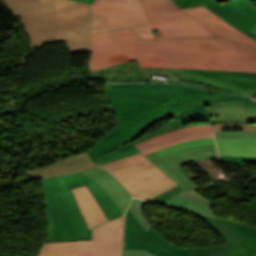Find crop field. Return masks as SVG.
Masks as SVG:
<instances>
[{
	"label": "crop field",
	"instance_id": "obj_12",
	"mask_svg": "<svg viewBox=\"0 0 256 256\" xmlns=\"http://www.w3.org/2000/svg\"><path fill=\"white\" fill-rule=\"evenodd\" d=\"M146 157L185 190L191 187L195 190L198 188L191 182L185 174L186 172L184 173L180 167L181 165L199 159H218L215 144L186 148L160 159H158L154 153Z\"/></svg>",
	"mask_w": 256,
	"mask_h": 256
},
{
	"label": "crop field",
	"instance_id": "obj_32",
	"mask_svg": "<svg viewBox=\"0 0 256 256\" xmlns=\"http://www.w3.org/2000/svg\"><path fill=\"white\" fill-rule=\"evenodd\" d=\"M215 139L256 138V132H214Z\"/></svg>",
	"mask_w": 256,
	"mask_h": 256
},
{
	"label": "crop field",
	"instance_id": "obj_23",
	"mask_svg": "<svg viewBox=\"0 0 256 256\" xmlns=\"http://www.w3.org/2000/svg\"><path fill=\"white\" fill-rule=\"evenodd\" d=\"M84 183L88 186L91 193L97 200L98 204L102 208L103 212L107 216L108 220L122 214L117 205L111 200V198L91 179L86 177L81 172L78 173Z\"/></svg>",
	"mask_w": 256,
	"mask_h": 256
},
{
	"label": "crop field",
	"instance_id": "obj_3",
	"mask_svg": "<svg viewBox=\"0 0 256 256\" xmlns=\"http://www.w3.org/2000/svg\"><path fill=\"white\" fill-rule=\"evenodd\" d=\"M108 101L118 126L106 134L101 144L117 135L129 143L156 122L170 115L158 106L171 98L165 84H105Z\"/></svg>",
	"mask_w": 256,
	"mask_h": 256
},
{
	"label": "crop field",
	"instance_id": "obj_8",
	"mask_svg": "<svg viewBox=\"0 0 256 256\" xmlns=\"http://www.w3.org/2000/svg\"><path fill=\"white\" fill-rule=\"evenodd\" d=\"M226 244L208 247L211 256H256V227L227 219L200 216Z\"/></svg>",
	"mask_w": 256,
	"mask_h": 256
},
{
	"label": "crop field",
	"instance_id": "obj_10",
	"mask_svg": "<svg viewBox=\"0 0 256 256\" xmlns=\"http://www.w3.org/2000/svg\"><path fill=\"white\" fill-rule=\"evenodd\" d=\"M130 212H126L124 249H145L160 256H210L207 247L181 250L168 243L153 228L145 231Z\"/></svg>",
	"mask_w": 256,
	"mask_h": 256
},
{
	"label": "crop field",
	"instance_id": "obj_26",
	"mask_svg": "<svg viewBox=\"0 0 256 256\" xmlns=\"http://www.w3.org/2000/svg\"><path fill=\"white\" fill-rule=\"evenodd\" d=\"M228 5L248 17L256 23V6L246 0H230L226 2ZM253 6V7H251ZM244 16V17H245Z\"/></svg>",
	"mask_w": 256,
	"mask_h": 256
},
{
	"label": "crop field",
	"instance_id": "obj_19",
	"mask_svg": "<svg viewBox=\"0 0 256 256\" xmlns=\"http://www.w3.org/2000/svg\"><path fill=\"white\" fill-rule=\"evenodd\" d=\"M82 173L95 181L113 199L121 211L125 212L131 195L113 176L99 167L82 171Z\"/></svg>",
	"mask_w": 256,
	"mask_h": 256
},
{
	"label": "crop field",
	"instance_id": "obj_35",
	"mask_svg": "<svg viewBox=\"0 0 256 256\" xmlns=\"http://www.w3.org/2000/svg\"><path fill=\"white\" fill-rule=\"evenodd\" d=\"M219 158H220V161L241 162V163H256V158L227 157V156H219Z\"/></svg>",
	"mask_w": 256,
	"mask_h": 256
},
{
	"label": "crop field",
	"instance_id": "obj_15",
	"mask_svg": "<svg viewBox=\"0 0 256 256\" xmlns=\"http://www.w3.org/2000/svg\"><path fill=\"white\" fill-rule=\"evenodd\" d=\"M166 86L169 89L173 98L160 104V106L162 109H164L173 116L179 114L181 111L199 105L200 103L207 100L229 95L226 93L206 91L187 86L170 84H166Z\"/></svg>",
	"mask_w": 256,
	"mask_h": 256
},
{
	"label": "crop field",
	"instance_id": "obj_37",
	"mask_svg": "<svg viewBox=\"0 0 256 256\" xmlns=\"http://www.w3.org/2000/svg\"><path fill=\"white\" fill-rule=\"evenodd\" d=\"M124 256H157L145 250H124Z\"/></svg>",
	"mask_w": 256,
	"mask_h": 256
},
{
	"label": "crop field",
	"instance_id": "obj_24",
	"mask_svg": "<svg viewBox=\"0 0 256 256\" xmlns=\"http://www.w3.org/2000/svg\"><path fill=\"white\" fill-rule=\"evenodd\" d=\"M177 195L182 196L190 201L179 209L190 213H200L216 217L210 209L213 203L201 196L193 188L187 191L184 190Z\"/></svg>",
	"mask_w": 256,
	"mask_h": 256
},
{
	"label": "crop field",
	"instance_id": "obj_6",
	"mask_svg": "<svg viewBox=\"0 0 256 256\" xmlns=\"http://www.w3.org/2000/svg\"><path fill=\"white\" fill-rule=\"evenodd\" d=\"M90 23L92 34L133 28L145 39L154 38L138 0H94Z\"/></svg>",
	"mask_w": 256,
	"mask_h": 256
},
{
	"label": "crop field",
	"instance_id": "obj_28",
	"mask_svg": "<svg viewBox=\"0 0 256 256\" xmlns=\"http://www.w3.org/2000/svg\"><path fill=\"white\" fill-rule=\"evenodd\" d=\"M125 143L126 142L124 140L117 136L93 149L87 150V152L90 154L91 157H95L99 154L106 153L113 149H116L118 146H121Z\"/></svg>",
	"mask_w": 256,
	"mask_h": 256
},
{
	"label": "crop field",
	"instance_id": "obj_27",
	"mask_svg": "<svg viewBox=\"0 0 256 256\" xmlns=\"http://www.w3.org/2000/svg\"><path fill=\"white\" fill-rule=\"evenodd\" d=\"M215 143L214 138H206V139H200V140H195V141H189V142H185V143H180V144H176V145H172L169 147H166L160 151L154 152L157 157H161L164 156L166 154H169L171 152L186 148V147H190V146H196V145H202V144H213Z\"/></svg>",
	"mask_w": 256,
	"mask_h": 256
},
{
	"label": "crop field",
	"instance_id": "obj_11",
	"mask_svg": "<svg viewBox=\"0 0 256 256\" xmlns=\"http://www.w3.org/2000/svg\"><path fill=\"white\" fill-rule=\"evenodd\" d=\"M205 137H214L212 132V125H200L182 128L174 132L165 133L155 138L134 144L141 153L100 166L110 172H113L121 168L147 160L144 157L145 155L157 151L163 147Z\"/></svg>",
	"mask_w": 256,
	"mask_h": 256
},
{
	"label": "crop field",
	"instance_id": "obj_4",
	"mask_svg": "<svg viewBox=\"0 0 256 256\" xmlns=\"http://www.w3.org/2000/svg\"><path fill=\"white\" fill-rule=\"evenodd\" d=\"M152 29L161 37H219L255 44L256 41L234 29L207 8L200 6L180 10L173 0H139ZM143 12V13H144Z\"/></svg>",
	"mask_w": 256,
	"mask_h": 256
},
{
	"label": "crop field",
	"instance_id": "obj_14",
	"mask_svg": "<svg viewBox=\"0 0 256 256\" xmlns=\"http://www.w3.org/2000/svg\"><path fill=\"white\" fill-rule=\"evenodd\" d=\"M152 74L179 76V80H186L187 69H140L136 61L99 69L91 72L90 83L96 82H144Z\"/></svg>",
	"mask_w": 256,
	"mask_h": 256
},
{
	"label": "crop field",
	"instance_id": "obj_29",
	"mask_svg": "<svg viewBox=\"0 0 256 256\" xmlns=\"http://www.w3.org/2000/svg\"><path fill=\"white\" fill-rule=\"evenodd\" d=\"M146 201H142L136 198H132L128 209L139 221V223L144 227L145 230L152 228L144 216L140 213L142 207L146 204Z\"/></svg>",
	"mask_w": 256,
	"mask_h": 256
},
{
	"label": "crop field",
	"instance_id": "obj_17",
	"mask_svg": "<svg viewBox=\"0 0 256 256\" xmlns=\"http://www.w3.org/2000/svg\"><path fill=\"white\" fill-rule=\"evenodd\" d=\"M95 162L87 152L74 157L61 159L49 166L26 171L29 181L45 179L64 174L82 171L88 168L96 167Z\"/></svg>",
	"mask_w": 256,
	"mask_h": 256
},
{
	"label": "crop field",
	"instance_id": "obj_31",
	"mask_svg": "<svg viewBox=\"0 0 256 256\" xmlns=\"http://www.w3.org/2000/svg\"><path fill=\"white\" fill-rule=\"evenodd\" d=\"M200 124H211V123H197V124H189V125H186V126H183V127H188L190 125H200ZM179 128H182V127H179ZM175 129H178L176 128L175 126H173L170 122H168L167 124L161 126L160 128L148 133L147 135L143 136L142 138L132 142V144L134 143H137V142H140V141H143V140H146V139H149V138H152V137H155L157 135H160V134H163L165 132H170V131H173Z\"/></svg>",
	"mask_w": 256,
	"mask_h": 256
},
{
	"label": "crop field",
	"instance_id": "obj_33",
	"mask_svg": "<svg viewBox=\"0 0 256 256\" xmlns=\"http://www.w3.org/2000/svg\"><path fill=\"white\" fill-rule=\"evenodd\" d=\"M123 220H124V215L115 219V220H113V221H108V222L92 229V235L100 233V232L108 230V229H111V228H114L116 226L122 225Z\"/></svg>",
	"mask_w": 256,
	"mask_h": 256
},
{
	"label": "crop field",
	"instance_id": "obj_1",
	"mask_svg": "<svg viewBox=\"0 0 256 256\" xmlns=\"http://www.w3.org/2000/svg\"><path fill=\"white\" fill-rule=\"evenodd\" d=\"M91 71L136 59L140 68L256 72V46L214 38L142 40L125 29L92 35Z\"/></svg>",
	"mask_w": 256,
	"mask_h": 256
},
{
	"label": "crop field",
	"instance_id": "obj_5",
	"mask_svg": "<svg viewBox=\"0 0 256 256\" xmlns=\"http://www.w3.org/2000/svg\"><path fill=\"white\" fill-rule=\"evenodd\" d=\"M47 212L45 242L90 239L88 230L70 189L84 186L77 173L40 180Z\"/></svg>",
	"mask_w": 256,
	"mask_h": 256
},
{
	"label": "crop field",
	"instance_id": "obj_7",
	"mask_svg": "<svg viewBox=\"0 0 256 256\" xmlns=\"http://www.w3.org/2000/svg\"><path fill=\"white\" fill-rule=\"evenodd\" d=\"M123 225L91 240L43 243L37 256H122Z\"/></svg>",
	"mask_w": 256,
	"mask_h": 256
},
{
	"label": "crop field",
	"instance_id": "obj_25",
	"mask_svg": "<svg viewBox=\"0 0 256 256\" xmlns=\"http://www.w3.org/2000/svg\"><path fill=\"white\" fill-rule=\"evenodd\" d=\"M136 153H139V151L136 149L134 145L129 143L117 148L112 152L99 155L93 159L95 160L96 164L100 165Z\"/></svg>",
	"mask_w": 256,
	"mask_h": 256
},
{
	"label": "crop field",
	"instance_id": "obj_34",
	"mask_svg": "<svg viewBox=\"0 0 256 256\" xmlns=\"http://www.w3.org/2000/svg\"><path fill=\"white\" fill-rule=\"evenodd\" d=\"M182 190H184V189L178 185V186L150 199V201L161 203Z\"/></svg>",
	"mask_w": 256,
	"mask_h": 256
},
{
	"label": "crop field",
	"instance_id": "obj_9",
	"mask_svg": "<svg viewBox=\"0 0 256 256\" xmlns=\"http://www.w3.org/2000/svg\"><path fill=\"white\" fill-rule=\"evenodd\" d=\"M112 174L133 196L146 200L177 185L149 160L113 172Z\"/></svg>",
	"mask_w": 256,
	"mask_h": 256
},
{
	"label": "crop field",
	"instance_id": "obj_21",
	"mask_svg": "<svg viewBox=\"0 0 256 256\" xmlns=\"http://www.w3.org/2000/svg\"><path fill=\"white\" fill-rule=\"evenodd\" d=\"M219 155L256 157V139L216 140Z\"/></svg>",
	"mask_w": 256,
	"mask_h": 256
},
{
	"label": "crop field",
	"instance_id": "obj_2",
	"mask_svg": "<svg viewBox=\"0 0 256 256\" xmlns=\"http://www.w3.org/2000/svg\"><path fill=\"white\" fill-rule=\"evenodd\" d=\"M22 19L34 46L65 40L71 53L91 51V5L70 0H3Z\"/></svg>",
	"mask_w": 256,
	"mask_h": 256
},
{
	"label": "crop field",
	"instance_id": "obj_20",
	"mask_svg": "<svg viewBox=\"0 0 256 256\" xmlns=\"http://www.w3.org/2000/svg\"><path fill=\"white\" fill-rule=\"evenodd\" d=\"M72 192L89 229L107 221L87 186L72 189Z\"/></svg>",
	"mask_w": 256,
	"mask_h": 256
},
{
	"label": "crop field",
	"instance_id": "obj_41",
	"mask_svg": "<svg viewBox=\"0 0 256 256\" xmlns=\"http://www.w3.org/2000/svg\"><path fill=\"white\" fill-rule=\"evenodd\" d=\"M254 100H256V98H253Z\"/></svg>",
	"mask_w": 256,
	"mask_h": 256
},
{
	"label": "crop field",
	"instance_id": "obj_16",
	"mask_svg": "<svg viewBox=\"0 0 256 256\" xmlns=\"http://www.w3.org/2000/svg\"><path fill=\"white\" fill-rule=\"evenodd\" d=\"M204 106L212 122L256 123V102L222 101Z\"/></svg>",
	"mask_w": 256,
	"mask_h": 256
},
{
	"label": "crop field",
	"instance_id": "obj_36",
	"mask_svg": "<svg viewBox=\"0 0 256 256\" xmlns=\"http://www.w3.org/2000/svg\"><path fill=\"white\" fill-rule=\"evenodd\" d=\"M187 202H189V201L175 195L163 203L178 208Z\"/></svg>",
	"mask_w": 256,
	"mask_h": 256
},
{
	"label": "crop field",
	"instance_id": "obj_13",
	"mask_svg": "<svg viewBox=\"0 0 256 256\" xmlns=\"http://www.w3.org/2000/svg\"><path fill=\"white\" fill-rule=\"evenodd\" d=\"M187 80L232 93L256 96V73L188 69Z\"/></svg>",
	"mask_w": 256,
	"mask_h": 256
},
{
	"label": "crop field",
	"instance_id": "obj_18",
	"mask_svg": "<svg viewBox=\"0 0 256 256\" xmlns=\"http://www.w3.org/2000/svg\"><path fill=\"white\" fill-rule=\"evenodd\" d=\"M174 2L177 6L185 8L203 5L242 33L256 40V35L248 31L256 25L225 3L219 5L214 0H174Z\"/></svg>",
	"mask_w": 256,
	"mask_h": 256
},
{
	"label": "crop field",
	"instance_id": "obj_40",
	"mask_svg": "<svg viewBox=\"0 0 256 256\" xmlns=\"http://www.w3.org/2000/svg\"><path fill=\"white\" fill-rule=\"evenodd\" d=\"M249 31H251V32H253V33H255V34H256V27H255V28H253V29H251V30H249Z\"/></svg>",
	"mask_w": 256,
	"mask_h": 256
},
{
	"label": "crop field",
	"instance_id": "obj_22",
	"mask_svg": "<svg viewBox=\"0 0 256 256\" xmlns=\"http://www.w3.org/2000/svg\"><path fill=\"white\" fill-rule=\"evenodd\" d=\"M222 100H247L252 102L251 98H248V97L230 95L228 97L219 98L217 100H210L206 103L222 101ZM206 103H202L197 107H193L191 109H188L185 112H182L181 114L177 115L174 120L170 122L176 127H179L188 123L211 122L208 116V112L203 106V104H206Z\"/></svg>",
	"mask_w": 256,
	"mask_h": 256
},
{
	"label": "crop field",
	"instance_id": "obj_39",
	"mask_svg": "<svg viewBox=\"0 0 256 256\" xmlns=\"http://www.w3.org/2000/svg\"><path fill=\"white\" fill-rule=\"evenodd\" d=\"M74 1H79V2H84V3L91 4L93 0H74Z\"/></svg>",
	"mask_w": 256,
	"mask_h": 256
},
{
	"label": "crop field",
	"instance_id": "obj_38",
	"mask_svg": "<svg viewBox=\"0 0 256 256\" xmlns=\"http://www.w3.org/2000/svg\"><path fill=\"white\" fill-rule=\"evenodd\" d=\"M172 83H175V84H183V85H189V86H195V87H200V88H206V89H211V90H216V91L225 92V91L219 90V89H217V88H213V87H209V86H205V85H201V84H197V83H191V82H175V81H172Z\"/></svg>",
	"mask_w": 256,
	"mask_h": 256
},
{
	"label": "crop field",
	"instance_id": "obj_30",
	"mask_svg": "<svg viewBox=\"0 0 256 256\" xmlns=\"http://www.w3.org/2000/svg\"><path fill=\"white\" fill-rule=\"evenodd\" d=\"M214 131H256V124H220L213 123Z\"/></svg>",
	"mask_w": 256,
	"mask_h": 256
}]
</instances>
